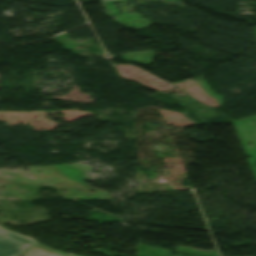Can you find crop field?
I'll return each instance as SVG.
<instances>
[{
	"mask_svg": "<svg viewBox=\"0 0 256 256\" xmlns=\"http://www.w3.org/2000/svg\"><path fill=\"white\" fill-rule=\"evenodd\" d=\"M1 210V209H0Z\"/></svg>",
	"mask_w": 256,
	"mask_h": 256,
	"instance_id": "3",
	"label": "crop field"
},
{
	"mask_svg": "<svg viewBox=\"0 0 256 256\" xmlns=\"http://www.w3.org/2000/svg\"><path fill=\"white\" fill-rule=\"evenodd\" d=\"M34 242L0 229V256H16Z\"/></svg>",
	"mask_w": 256,
	"mask_h": 256,
	"instance_id": "1",
	"label": "crop field"
},
{
	"mask_svg": "<svg viewBox=\"0 0 256 256\" xmlns=\"http://www.w3.org/2000/svg\"><path fill=\"white\" fill-rule=\"evenodd\" d=\"M21 255L23 256H69L40 246H31Z\"/></svg>",
	"mask_w": 256,
	"mask_h": 256,
	"instance_id": "2",
	"label": "crop field"
}]
</instances>
